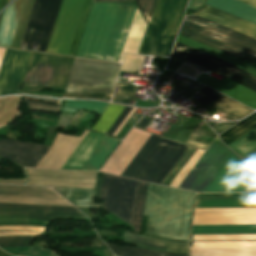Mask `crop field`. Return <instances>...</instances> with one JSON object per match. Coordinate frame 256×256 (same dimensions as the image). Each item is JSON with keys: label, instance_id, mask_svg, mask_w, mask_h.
<instances>
[{"label": "crop field", "instance_id": "8a807250", "mask_svg": "<svg viewBox=\"0 0 256 256\" xmlns=\"http://www.w3.org/2000/svg\"><path fill=\"white\" fill-rule=\"evenodd\" d=\"M135 4L93 3L75 56L118 62ZM145 22L136 8L124 52L138 53Z\"/></svg>", "mask_w": 256, "mask_h": 256}, {"label": "crop field", "instance_id": "ac0d7876", "mask_svg": "<svg viewBox=\"0 0 256 256\" xmlns=\"http://www.w3.org/2000/svg\"><path fill=\"white\" fill-rule=\"evenodd\" d=\"M91 0H35L20 48L73 55Z\"/></svg>", "mask_w": 256, "mask_h": 256}, {"label": "crop field", "instance_id": "34b2d1b8", "mask_svg": "<svg viewBox=\"0 0 256 256\" xmlns=\"http://www.w3.org/2000/svg\"><path fill=\"white\" fill-rule=\"evenodd\" d=\"M195 193L149 183L143 215L146 234L187 239Z\"/></svg>", "mask_w": 256, "mask_h": 256}, {"label": "crop field", "instance_id": "412701ff", "mask_svg": "<svg viewBox=\"0 0 256 256\" xmlns=\"http://www.w3.org/2000/svg\"><path fill=\"white\" fill-rule=\"evenodd\" d=\"M186 0H157L140 53L169 55Z\"/></svg>", "mask_w": 256, "mask_h": 256}, {"label": "crop field", "instance_id": "f4fd0767", "mask_svg": "<svg viewBox=\"0 0 256 256\" xmlns=\"http://www.w3.org/2000/svg\"><path fill=\"white\" fill-rule=\"evenodd\" d=\"M74 58L33 53L21 90L66 88Z\"/></svg>", "mask_w": 256, "mask_h": 256}, {"label": "crop field", "instance_id": "dd49c442", "mask_svg": "<svg viewBox=\"0 0 256 256\" xmlns=\"http://www.w3.org/2000/svg\"><path fill=\"white\" fill-rule=\"evenodd\" d=\"M187 147L161 138L132 178L160 184Z\"/></svg>", "mask_w": 256, "mask_h": 256}, {"label": "crop field", "instance_id": "e52e79f7", "mask_svg": "<svg viewBox=\"0 0 256 256\" xmlns=\"http://www.w3.org/2000/svg\"><path fill=\"white\" fill-rule=\"evenodd\" d=\"M137 184L136 180L104 174L99 196L103 208L131 224Z\"/></svg>", "mask_w": 256, "mask_h": 256}, {"label": "crop field", "instance_id": "d8731c3e", "mask_svg": "<svg viewBox=\"0 0 256 256\" xmlns=\"http://www.w3.org/2000/svg\"><path fill=\"white\" fill-rule=\"evenodd\" d=\"M203 192H256V175L232 153Z\"/></svg>", "mask_w": 256, "mask_h": 256}, {"label": "crop field", "instance_id": "5a996713", "mask_svg": "<svg viewBox=\"0 0 256 256\" xmlns=\"http://www.w3.org/2000/svg\"><path fill=\"white\" fill-rule=\"evenodd\" d=\"M172 54L215 71L256 92V77L226 62L177 42Z\"/></svg>", "mask_w": 256, "mask_h": 256}, {"label": "crop field", "instance_id": "3316defc", "mask_svg": "<svg viewBox=\"0 0 256 256\" xmlns=\"http://www.w3.org/2000/svg\"><path fill=\"white\" fill-rule=\"evenodd\" d=\"M221 142L218 138L213 142L211 147L202 157V159L198 162V164L194 167L191 173L187 176V178L180 185V189L187 190L192 182L196 179L199 173L203 170L206 164L210 161L213 155L217 152V150L221 146ZM232 152L229 151L225 146H221L218 152L214 155L211 161L207 164L204 170L200 173L197 179L193 182L188 190L195 192H202L206 185L210 182L216 172L220 169L223 163L227 160Z\"/></svg>", "mask_w": 256, "mask_h": 256}, {"label": "crop field", "instance_id": "28ad6ade", "mask_svg": "<svg viewBox=\"0 0 256 256\" xmlns=\"http://www.w3.org/2000/svg\"><path fill=\"white\" fill-rule=\"evenodd\" d=\"M26 185L95 188L98 173L25 169Z\"/></svg>", "mask_w": 256, "mask_h": 256}, {"label": "crop field", "instance_id": "d1516ede", "mask_svg": "<svg viewBox=\"0 0 256 256\" xmlns=\"http://www.w3.org/2000/svg\"><path fill=\"white\" fill-rule=\"evenodd\" d=\"M182 25L256 57V40L252 38L194 15L185 18Z\"/></svg>", "mask_w": 256, "mask_h": 256}, {"label": "crop field", "instance_id": "22f410ed", "mask_svg": "<svg viewBox=\"0 0 256 256\" xmlns=\"http://www.w3.org/2000/svg\"><path fill=\"white\" fill-rule=\"evenodd\" d=\"M0 202L72 206L50 188L0 185Z\"/></svg>", "mask_w": 256, "mask_h": 256}, {"label": "crop field", "instance_id": "cbeb9de0", "mask_svg": "<svg viewBox=\"0 0 256 256\" xmlns=\"http://www.w3.org/2000/svg\"><path fill=\"white\" fill-rule=\"evenodd\" d=\"M31 52L6 49L0 68V96L19 91Z\"/></svg>", "mask_w": 256, "mask_h": 256}, {"label": "crop field", "instance_id": "5142ce71", "mask_svg": "<svg viewBox=\"0 0 256 256\" xmlns=\"http://www.w3.org/2000/svg\"><path fill=\"white\" fill-rule=\"evenodd\" d=\"M256 224V208L196 209L193 225Z\"/></svg>", "mask_w": 256, "mask_h": 256}, {"label": "crop field", "instance_id": "d9b57169", "mask_svg": "<svg viewBox=\"0 0 256 256\" xmlns=\"http://www.w3.org/2000/svg\"><path fill=\"white\" fill-rule=\"evenodd\" d=\"M149 136L144 131L131 129L100 171L120 175Z\"/></svg>", "mask_w": 256, "mask_h": 256}, {"label": "crop field", "instance_id": "733c2abd", "mask_svg": "<svg viewBox=\"0 0 256 256\" xmlns=\"http://www.w3.org/2000/svg\"><path fill=\"white\" fill-rule=\"evenodd\" d=\"M49 147L25 142L0 141V156L21 166L34 168Z\"/></svg>", "mask_w": 256, "mask_h": 256}, {"label": "crop field", "instance_id": "4a817a6b", "mask_svg": "<svg viewBox=\"0 0 256 256\" xmlns=\"http://www.w3.org/2000/svg\"><path fill=\"white\" fill-rule=\"evenodd\" d=\"M196 80L208 85L209 87L253 108L256 109V93L244 88L243 86L224 78L221 82L201 74Z\"/></svg>", "mask_w": 256, "mask_h": 256}, {"label": "crop field", "instance_id": "bc2a9ffb", "mask_svg": "<svg viewBox=\"0 0 256 256\" xmlns=\"http://www.w3.org/2000/svg\"><path fill=\"white\" fill-rule=\"evenodd\" d=\"M199 17L208 19L218 24L224 25L242 34L256 39V26L246 21L238 19L234 16L218 11L211 7L204 5L197 13Z\"/></svg>", "mask_w": 256, "mask_h": 256}, {"label": "crop field", "instance_id": "214f88e0", "mask_svg": "<svg viewBox=\"0 0 256 256\" xmlns=\"http://www.w3.org/2000/svg\"><path fill=\"white\" fill-rule=\"evenodd\" d=\"M125 242L153 247L169 252L188 253V242L170 241L153 237L141 236L132 232L126 231L123 234Z\"/></svg>", "mask_w": 256, "mask_h": 256}, {"label": "crop field", "instance_id": "92a150f3", "mask_svg": "<svg viewBox=\"0 0 256 256\" xmlns=\"http://www.w3.org/2000/svg\"><path fill=\"white\" fill-rule=\"evenodd\" d=\"M59 217L87 218L82 214L74 213L0 209V219L45 220L54 222Z\"/></svg>", "mask_w": 256, "mask_h": 256}, {"label": "crop field", "instance_id": "dafd665d", "mask_svg": "<svg viewBox=\"0 0 256 256\" xmlns=\"http://www.w3.org/2000/svg\"><path fill=\"white\" fill-rule=\"evenodd\" d=\"M206 5L234 14L256 24V9L235 0H208Z\"/></svg>", "mask_w": 256, "mask_h": 256}, {"label": "crop field", "instance_id": "00972430", "mask_svg": "<svg viewBox=\"0 0 256 256\" xmlns=\"http://www.w3.org/2000/svg\"><path fill=\"white\" fill-rule=\"evenodd\" d=\"M176 41L180 42L182 44L188 45L190 47L196 48L198 50H201V51H203L205 53H208V54H210L212 56L220 58V59H222L224 61H227V62H229V63H231V64H233V65H235V66H237V67H239V68H241V69H243V70H245V71H247V72H249V73H251V74L256 76V68H254V67H252V66H250V65H248V64H246V63H244V62H242V61H240V60H238V59H236V58H234L232 56H229V55H227L225 53H222L220 51H217V50H215L213 48H210V47H208L206 45H203L201 43L195 42V41L190 40L188 38L182 37L180 35L178 36Z\"/></svg>", "mask_w": 256, "mask_h": 256}, {"label": "crop field", "instance_id": "a9b5d70f", "mask_svg": "<svg viewBox=\"0 0 256 256\" xmlns=\"http://www.w3.org/2000/svg\"><path fill=\"white\" fill-rule=\"evenodd\" d=\"M191 256H256V247L191 248Z\"/></svg>", "mask_w": 256, "mask_h": 256}, {"label": "crop field", "instance_id": "4177f3b9", "mask_svg": "<svg viewBox=\"0 0 256 256\" xmlns=\"http://www.w3.org/2000/svg\"><path fill=\"white\" fill-rule=\"evenodd\" d=\"M66 200L76 206L99 207L100 204H92L95 190L53 188ZM101 206V205H100Z\"/></svg>", "mask_w": 256, "mask_h": 256}, {"label": "crop field", "instance_id": "730fd06b", "mask_svg": "<svg viewBox=\"0 0 256 256\" xmlns=\"http://www.w3.org/2000/svg\"><path fill=\"white\" fill-rule=\"evenodd\" d=\"M118 142L119 140L106 136L82 170L97 171Z\"/></svg>", "mask_w": 256, "mask_h": 256}, {"label": "crop field", "instance_id": "eef30255", "mask_svg": "<svg viewBox=\"0 0 256 256\" xmlns=\"http://www.w3.org/2000/svg\"><path fill=\"white\" fill-rule=\"evenodd\" d=\"M256 233V225L193 226L191 234H237Z\"/></svg>", "mask_w": 256, "mask_h": 256}, {"label": "crop field", "instance_id": "ae1a2a85", "mask_svg": "<svg viewBox=\"0 0 256 256\" xmlns=\"http://www.w3.org/2000/svg\"><path fill=\"white\" fill-rule=\"evenodd\" d=\"M179 34L182 35V36L188 37L190 39H193L195 41L201 42L203 44H206V45H208L210 47H213V48H215L217 50L225 52V53H227L229 55H232V56H234L236 58L254 59V58L250 57L249 55H247V54H245V53H243L241 51H238V50H236L234 48H231L229 46L221 44V43H219L217 41H214L212 39H209L207 37H204L202 35H199L197 33H194L192 31L184 29L182 27L180 29V33Z\"/></svg>", "mask_w": 256, "mask_h": 256}, {"label": "crop field", "instance_id": "d3111659", "mask_svg": "<svg viewBox=\"0 0 256 256\" xmlns=\"http://www.w3.org/2000/svg\"><path fill=\"white\" fill-rule=\"evenodd\" d=\"M209 106L218 109L214 113L223 111L237 119H241L246 115L250 114L251 112H253L252 110L244 107L243 105L233 101L232 99L224 95L221 96L219 99H217L215 102H213Z\"/></svg>", "mask_w": 256, "mask_h": 256}, {"label": "crop field", "instance_id": "750c4746", "mask_svg": "<svg viewBox=\"0 0 256 256\" xmlns=\"http://www.w3.org/2000/svg\"><path fill=\"white\" fill-rule=\"evenodd\" d=\"M160 137H156L151 135L147 142L143 145L140 151L136 154V156L132 159L129 165L122 172L121 176L131 178L156 143L159 141Z\"/></svg>", "mask_w": 256, "mask_h": 256}, {"label": "crop field", "instance_id": "bd1437ed", "mask_svg": "<svg viewBox=\"0 0 256 256\" xmlns=\"http://www.w3.org/2000/svg\"><path fill=\"white\" fill-rule=\"evenodd\" d=\"M228 146L237 152L241 158L252 152L256 149V128Z\"/></svg>", "mask_w": 256, "mask_h": 256}, {"label": "crop field", "instance_id": "1d83c4d3", "mask_svg": "<svg viewBox=\"0 0 256 256\" xmlns=\"http://www.w3.org/2000/svg\"><path fill=\"white\" fill-rule=\"evenodd\" d=\"M106 243V242H105ZM108 247L118 256H188V255H168L152 250L134 248V247H125L106 243Z\"/></svg>", "mask_w": 256, "mask_h": 256}, {"label": "crop field", "instance_id": "120bbe31", "mask_svg": "<svg viewBox=\"0 0 256 256\" xmlns=\"http://www.w3.org/2000/svg\"><path fill=\"white\" fill-rule=\"evenodd\" d=\"M147 183L139 181L132 226L139 232Z\"/></svg>", "mask_w": 256, "mask_h": 256}, {"label": "crop field", "instance_id": "d32e631a", "mask_svg": "<svg viewBox=\"0 0 256 256\" xmlns=\"http://www.w3.org/2000/svg\"><path fill=\"white\" fill-rule=\"evenodd\" d=\"M214 138L215 136L196 127L195 130L188 137V139L185 141V144L207 149Z\"/></svg>", "mask_w": 256, "mask_h": 256}, {"label": "crop field", "instance_id": "5866460e", "mask_svg": "<svg viewBox=\"0 0 256 256\" xmlns=\"http://www.w3.org/2000/svg\"><path fill=\"white\" fill-rule=\"evenodd\" d=\"M36 238L25 236L0 237V247H31Z\"/></svg>", "mask_w": 256, "mask_h": 256}, {"label": "crop field", "instance_id": "028f5c9d", "mask_svg": "<svg viewBox=\"0 0 256 256\" xmlns=\"http://www.w3.org/2000/svg\"><path fill=\"white\" fill-rule=\"evenodd\" d=\"M4 251L19 256H57L48 248H2Z\"/></svg>", "mask_w": 256, "mask_h": 256}, {"label": "crop field", "instance_id": "e1f06a70", "mask_svg": "<svg viewBox=\"0 0 256 256\" xmlns=\"http://www.w3.org/2000/svg\"><path fill=\"white\" fill-rule=\"evenodd\" d=\"M195 150L196 148H193L191 146L188 147V149L185 151L182 157L178 160V162L175 164L172 170L168 173V175L162 181L161 183L162 185H166V186L170 185V183L173 181V179L176 177V175L179 173L182 167L186 164V162L189 160V158L192 156Z\"/></svg>", "mask_w": 256, "mask_h": 256}, {"label": "crop field", "instance_id": "0bd39190", "mask_svg": "<svg viewBox=\"0 0 256 256\" xmlns=\"http://www.w3.org/2000/svg\"><path fill=\"white\" fill-rule=\"evenodd\" d=\"M0 208H11V209H39L47 211H63V212H75L80 213L74 207H63V206H42V205H22V204H1Z\"/></svg>", "mask_w": 256, "mask_h": 256}, {"label": "crop field", "instance_id": "b80d0937", "mask_svg": "<svg viewBox=\"0 0 256 256\" xmlns=\"http://www.w3.org/2000/svg\"><path fill=\"white\" fill-rule=\"evenodd\" d=\"M203 153V150H196V152L193 154V156L190 158V160L187 162L184 168L180 171V173L171 183V187L178 188V186L181 184V182L184 180V178L187 176V174L190 172L192 167L195 165V163L198 161V159L201 157Z\"/></svg>", "mask_w": 256, "mask_h": 256}, {"label": "crop field", "instance_id": "c035e120", "mask_svg": "<svg viewBox=\"0 0 256 256\" xmlns=\"http://www.w3.org/2000/svg\"><path fill=\"white\" fill-rule=\"evenodd\" d=\"M107 103L94 101H65L64 107H80L82 109L101 113Z\"/></svg>", "mask_w": 256, "mask_h": 256}, {"label": "crop field", "instance_id": "c21b1889", "mask_svg": "<svg viewBox=\"0 0 256 256\" xmlns=\"http://www.w3.org/2000/svg\"><path fill=\"white\" fill-rule=\"evenodd\" d=\"M25 99L36 100V101H45V102H51L54 104H59V106H53V105H49V104L27 101L29 109L59 113L61 101L44 100V99L30 98V97H25Z\"/></svg>", "mask_w": 256, "mask_h": 256}, {"label": "crop field", "instance_id": "03da06ac", "mask_svg": "<svg viewBox=\"0 0 256 256\" xmlns=\"http://www.w3.org/2000/svg\"><path fill=\"white\" fill-rule=\"evenodd\" d=\"M254 127H256V117H254L253 119H251L241 127L237 128L236 130H234L233 132H231L230 134H228L222 139L224 143L228 145L234 140H236L237 138H239L240 136H242L243 134H245L246 132L253 129Z\"/></svg>", "mask_w": 256, "mask_h": 256}, {"label": "crop field", "instance_id": "b54c1fbb", "mask_svg": "<svg viewBox=\"0 0 256 256\" xmlns=\"http://www.w3.org/2000/svg\"><path fill=\"white\" fill-rule=\"evenodd\" d=\"M144 56L125 54L124 62L121 70L124 71H137L143 63Z\"/></svg>", "mask_w": 256, "mask_h": 256}, {"label": "crop field", "instance_id": "5d738f31", "mask_svg": "<svg viewBox=\"0 0 256 256\" xmlns=\"http://www.w3.org/2000/svg\"><path fill=\"white\" fill-rule=\"evenodd\" d=\"M135 2L149 23L156 0H135Z\"/></svg>", "mask_w": 256, "mask_h": 256}, {"label": "crop field", "instance_id": "d23c7cc5", "mask_svg": "<svg viewBox=\"0 0 256 256\" xmlns=\"http://www.w3.org/2000/svg\"><path fill=\"white\" fill-rule=\"evenodd\" d=\"M112 94H63L62 98H91L110 100Z\"/></svg>", "mask_w": 256, "mask_h": 256}, {"label": "crop field", "instance_id": "425ffa30", "mask_svg": "<svg viewBox=\"0 0 256 256\" xmlns=\"http://www.w3.org/2000/svg\"><path fill=\"white\" fill-rule=\"evenodd\" d=\"M131 109L132 108H130V107H125V109L122 111V113L116 119V121L113 123V125L110 127V129L107 131L106 135L112 136V134L115 132V130L118 128V126L122 123V121L125 119V117L128 115V113L131 111Z\"/></svg>", "mask_w": 256, "mask_h": 256}, {"label": "crop field", "instance_id": "25e5ab78", "mask_svg": "<svg viewBox=\"0 0 256 256\" xmlns=\"http://www.w3.org/2000/svg\"><path fill=\"white\" fill-rule=\"evenodd\" d=\"M118 88L116 92L134 95L136 92L134 85L117 83Z\"/></svg>", "mask_w": 256, "mask_h": 256}, {"label": "crop field", "instance_id": "73cf0c24", "mask_svg": "<svg viewBox=\"0 0 256 256\" xmlns=\"http://www.w3.org/2000/svg\"><path fill=\"white\" fill-rule=\"evenodd\" d=\"M222 94H219L215 91H210L208 94H206L204 97H202L201 99H199L198 101L201 102L202 104H210L211 102H213L215 99H217L218 97H220Z\"/></svg>", "mask_w": 256, "mask_h": 256}, {"label": "crop field", "instance_id": "89e229c0", "mask_svg": "<svg viewBox=\"0 0 256 256\" xmlns=\"http://www.w3.org/2000/svg\"><path fill=\"white\" fill-rule=\"evenodd\" d=\"M243 160L256 171V151L243 158Z\"/></svg>", "mask_w": 256, "mask_h": 256}, {"label": "crop field", "instance_id": "1f2cbd36", "mask_svg": "<svg viewBox=\"0 0 256 256\" xmlns=\"http://www.w3.org/2000/svg\"><path fill=\"white\" fill-rule=\"evenodd\" d=\"M25 179H0V183L3 184H17L24 185Z\"/></svg>", "mask_w": 256, "mask_h": 256}, {"label": "crop field", "instance_id": "dbb93151", "mask_svg": "<svg viewBox=\"0 0 256 256\" xmlns=\"http://www.w3.org/2000/svg\"><path fill=\"white\" fill-rule=\"evenodd\" d=\"M206 0H190L188 7L190 9H198L200 6H202L205 3Z\"/></svg>", "mask_w": 256, "mask_h": 256}, {"label": "crop field", "instance_id": "0fb4a251", "mask_svg": "<svg viewBox=\"0 0 256 256\" xmlns=\"http://www.w3.org/2000/svg\"><path fill=\"white\" fill-rule=\"evenodd\" d=\"M131 97L114 94L112 101L128 104Z\"/></svg>", "mask_w": 256, "mask_h": 256}, {"label": "crop field", "instance_id": "1d79db26", "mask_svg": "<svg viewBox=\"0 0 256 256\" xmlns=\"http://www.w3.org/2000/svg\"><path fill=\"white\" fill-rule=\"evenodd\" d=\"M236 122L233 123H225V124H216L214 126H212L217 132L218 134L221 133L222 131H224L225 129H227L228 127H230L231 125H233Z\"/></svg>", "mask_w": 256, "mask_h": 256}, {"label": "crop field", "instance_id": "9d1cf04e", "mask_svg": "<svg viewBox=\"0 0 256 256\" xmlns=\"http://www.w3.org/2000/svg\"><path fill=\"white\" fill-rule=\"evenodd\" d=\"M254 116H256V113H254L253 115H251L250 117H248L247 119L241 121L240 123H238L237 125H235L234 127H232L231 129H229L228 131H226L225 133H223L221 136L224 137L225 135H227L228 133H230L231 131H233L234 129H236L237 127H239L240 125L244 124L245 122H247L248 120H250L251 118H253Z\"/></svg>", "mask_w": 256, "mask_h": 256}, {"label": "crop field", "instance_id": "447ae74e", "mask_svg": "<svg viewBox=\"0 0 256 256\" xmlns=\"http://www.w3.org/2000/svg\"><path fill=\"white\" fill-rule=\"evenodd\" d=\"M192 83H194V81L185 78V79L182 81V83H181L177 88L185 90V89L188 88Z\"/></svg>", "mask_w": 256, "mask_h": 256}, {"label": "crop field", "instance_id": "0765c3eb", "mask_svg": "<svg viewBox=\"0 0 256 256\" xmlns=\"http://www.w3.org/2000/svg\"><path fill=\"white\" fill-rule=\"evenodd\" d=\"M0 222H34V223L50 224V223H47V222L26 221V220H0Z\"/></svg>", "mask_w": 256, "mask_h": 256}, {"label": "crop field", "instance_id": "db79e9e6", "mask_svg": "<svg viewBox=\"0 0 256 256\" xmlns=\"http://www.w3.org/2000/svg\"><path fill=\"white\" fill-rule=\"evenodd\" d=\"M256 8V0H237Z\"/></svg>", "mask_w": 256, "mask_h": 256}, {"label": "crop field", "instance_id": "7b73153f", "mask_svg": "<svg viewBox=\"0 0 256 256\" xmlns=\"http://www.w3.org/2000/svg\"><path fill=\"white\" fill-rule=\"evenodd\" d=\"M148 120H146V119H142L141 120V122L137 125V126H135V127H138V128H142V129H144L145 128V126L148 124Z\"/></svg>", "mask_w": 256, "mask_h": 256}, {"label": "crop field", "instance_id": "78b8030e", "mask_svg": "<svg viewBox=\"0 0 256 256\" xmlns=\"http://www.w3.org/2000/svg\"><path fill=\"white\" fill-rule=\"evenodd\" d=\"M112 1H132V0H93L92 2H112Z\"/></svg>", "mask_w": 256, "mask_h": 256}, {"label": "crop field", "instance_id": "0f1d7ab4", "mask_svg": "<svg viewBox=\"0 0 256 256\" xmlns=\"http://www.w3.org/2000/svg\"><path fill=\"white\" fill-rule=\"evenodd\" d=\"M101 181H102V179H99V181H98L97 191H96V195H95L96 197H98V196H99V191H100Z\"/></svg>", "mask_w": 256, "mask_h": 256}, {"label": "crop field", "instance_id": "e1d0b9f6", "mask_svg": "<svg viewBox=\"0 0 256 256\" xmlns=\"http://www.w3.org/2000/svg\"><path fill=\"white\" fill-rule=\"evenodd\" d=\"M210 90H211V89H209V88H207V87L205 86V87H203V88L200 90V92L206 94V93H208Z\"/></svg>", "mask_w": 256, "mask_h": 256}, {"label": "crop field", "instance_id": "ae633e8c", "mask_svg": "<svg viewBox=\"0 0 256 256\" xmlns=\"http://www.w3.org/2000/svg\"><path fill=\"white\" fill-rule=\"evenodd\" d=\"M7 0H0V10L5 6Z\"/></svg>", "mask_w": 256, "mask_h": 256}, {"label": "crop field", "instance_id": "d14b1444", "mask_svg": "<svg viewBox=\"0 0 256 256\" xmlns=\"http://www.w3.org/2000/svg\"><path fill=\"white\" fill-rule=\"evenodd\" d=\"M192 237L193 235H191V247H192ZM215 241H238V240H215Z\"/></svg>", "mask_w": 256, "mask_h": 256}, {"label": "crop field", "instance_id": "c39391a2", "mask_svg": "<svg viewBox=\"0 0 256 256\" xmlns=\"http://www.w3.org/2000/svg\"><path fill=\"white\" fill-rule=\"evenodd\" d=\"M45 230H46V228H45ZM45 230H44L42 233H44V232H45ZM3 232H6V231H3ZM42 233H41V234H42ZM41 234H40V235H41Z\"/></svg>", "mask_w": 256, "mask_h": 256}, {"label": "crop field", "instance_id": "ade564c9", "mask_svg": "<svg viewBox=\"0 0 256 256\" xmlns=\"http://www.w3.org/2000/svg\"><path fill=\"white\" fill-rule=\"evenodd\" d=\"M1 15H2V13L0 14V18H1Z\"/></svg>", "mask_w": 256, "mask_h": 256}, {"label": "crop field", "instance_id": "c5b07064", "mask_svg": "<svg viewBox=\"0 0 256 256\" xmlns=\"http://www.w3.org/2000/svg\"><path fill=\"white\" fill-rule=\"evenodd\" d=\"M2 159H0V161H1Z\"/></svg>", "mask_w": 256, "mask_h": 256}]
</instances>
